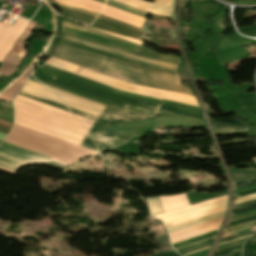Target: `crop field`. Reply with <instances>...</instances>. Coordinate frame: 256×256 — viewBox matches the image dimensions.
<instances>
[{
    "mask_svg": "<svg viewBox=\"0 0 256 256\" xmlns=\"http://www.w3.org/2000/svg\"><path fill=\"white\" fill-rule=\"evenodd\" d=\"M5 24L0 23V31L4 28Z\"/></svg>",
    "mask_w": 256,
    "mask_h": 256,
    "instance_id": "crop-field-38",
    "label": "crop field"
},
{
    "mask_svg": "<svg viewBox=\"0 0 256 256\" xmlns=\"http://www.w3.org/2000/svg\"><path fill=\"white\" fill-rule=\"evenodd\" d=\"M151 118L127 111L106 108L98 118L89 135L101 153L127 142L131 137L115 136V126L119 122ZM82 147L99 152L90 138H85Z\"/></svg>",
    "mask_w": 256,
    "mask_h": 256,
    "instance_id": "crop-field-3",
    "label": "crop field"
},
{
    "mask_svg": "<svg viewBox=\"0 0 256 256\" xmlns=\"http://www.w3.org/2000/svg\"><path fill=\"white\" fill-rule=\"evenodd\" d=\"M225 200H227V195L217 197V198H214V199H211V200L199 203V204H195V205H192V206H189V207L182 208V209H178V210H174V211L167 212V213H164V214H160V215H157L155 217L160 218V217H164V216H167V215H171V214L191 210V209L197 208V207L202 206V205L216 203V202L225 201Z\"/></svg>",
    "mask_w": 256,
    "mask_h": 256,
    "instance_id": "crop-field-17",
    "label": "crop field"
},
{
    "mask_svg": "<svg viewBox=\"0 0 256 256\" xmlns=\"http://www.w3.org/2000/svg\"><path fill=\"white\" fill-rule=\"evenodd\" d=\"M225 208H226V206L221 207V208H217V209H213V210H210V211H207V212H204V213L192 215V216H189V217H186V218L174 221V222L166 223L165 226H166V228L172 227V226H175V225H178V224H181V223H185V222L197 219V218L202 217V216H206V215H210V214H213V213H216V212L224 211Z\"/></svg>",
    "mask_w": 256,
    "mask_h": 256,
    "instance_id": "crop-field-18",
    "label": "crop field"
},
{
    "mask_svg": "<svg viewBox=\"0 0 256 256\" xmlns=\"http://www.w3.org/2000/svg\"><path fill=\"white\" fill-rule=\"evenodd\" d=\"M223 219V218H222ZM222 219H218L215 221H211V222H207V223H203L185 230H181L178 232H174V233H170V238H171V242L176 243L206 232H209L211 230L217 229L219 228Z\"/></svg>",
    "mask_w": 256,
    "mask_h": 256,
    "instance_id": "crop-field-9",
    "label": "crop field"
},
{
    "mask_svg": "<svg viewBox=\"0 0 256 256\" xmlns=\"http://www.w3.org/2000/svg\"><path fill=\"white\" fill-rule=\"evenodd\" d=\"M254 254H255V251H251L243 248V256H253Z\"/></svg>",
    "mask_w": 256,
    "mask_h": 256,
    "instance_id": "crop-field-31",
    "label": "crop field"
},
{
    "mask_svg": "<svg viewBox=\"0 0 256 256\" xmlns=\"http://www.w3.org/2000/svg\"><path fill=\"white\" fill-rule=\"evenodd\" d=\"M217 230H218V229H217ZM217 230H214V231H212V232L206 233V234H204V235H201V236H198V237L189 239V240H185V241H182V242L173 244L172 246H173L174 249H176V248H179V247H181V246L190 244V243H192V242H195V241H198V240H201V239H204V238H208V237L214 236V235L216 234Z\"/></svg>",
    "mask_w": 256,
    "mask_h": 256,
    "instance_id": "crop-field-22",
    "label": "crop field"
},
{
    "mask_svg": "<svg viewBox=\"0 0 256 256\" xmlns=\"http://www.w3.org/2000/svg\"><path fill=\"white\" fill-rule=\"evenodd\" d=\"M252 193H256V189L255 190H251V191L239 192V193H236V194H237V197L239 198L241 196L252 194Z\"/></svg>",
    "mask_w": 256,
    "mask_h": 256,
    "instance_id": "crop-field-30",
    "label": "crop field"
},
{
    "mask_svg": "<svg viewBox=\"0 0 256 256\" xmlns=\"http://www.w3.org/2000/svg\"><path fill=\"white\" fill-rule=\"evenodd\" d=\"M157 256H168L167 255V253L166 252H164V253H162V254H160V255H157ZM173 256H179L178 254H176V255H173Z\"/></svg>",
    "mask_w": 256,
    "mask_h": 256,
    "instance_id": "crop-field-37",
    "label": "crop field"
},
{
    "mask_svg": "<svg viewBox=\"0 0 256 256\" xmlns=\"http://www.w3.org/2000/svg\"><path fill=\"white\" fill-rule=\"evenodd\" d=\"M159 198L166 212L189 206V203L187 202L184 194Z\"/></svg>",
    "mask_w": 256,
    "mask_h": 256,
    "instance_id": "crop-field-13",
    "label": "crop field"
},
{
    "mask_svg": "<svg viewBox=\"0 0 256 256\" xmlns=\"http://www.w3.org/2000/svg\"><path fill=\"white\" fill-rule=\"evenodd\" d=\"M215 237V236H214ZM214 237H211V238H208V239H204V240H201V241H198V242H195V243H192L190 245H187V246H184V247H181L179 249H176L178 252L180 251H184V250H187V249H190V248H194V247H197V246H200V245H203V244H206L208 242H211L214 240Z\"/></svg>",
    "mask_w": 256,
    "mask_h": 256,
    "instance_id": "crop-field-24",
    "label": "crop field"
},
{
    "mask_svg": "<svg viewBox=\"0 0 256 256\" xmlns=\"http://www.w3.org/2000/svg\"><path fill=\"white\" fill-rule=\"evenodd\" d=\"M1 142L2 141H0V143ZM47 159H52V158L28 151L26 149H23V148H20V147H17V146H14V145H11V144H8L5 142H3L0 145V167H3L5 169L11 170V171H13L19 165H22V164H25L28 162L47 160ZM48 161H53V162L61 164L63 166L68 165L63 162L57 161L55 159L47 160V161H40V162H33V163L25 164V165L48 162ZM25 165H22V166H25ZM22 166H19V167H22ZM19 167H17L13 172L5 170L3 168H0V169L14 174Z\"/></svg>",
    "mask_w": 256,
    "mask_h": 256,
    "instance_id": "crop-field-7",
    "label": "crop field"
},
{
    "mask_svg": "<svg viewBox=\"0 0 256 256\" xmlns=\"http://www.w3.org/2000/svg\"><path fill=\"white\" fill-rule=\"evenodd\" d=\"M36 77L37 80L41 82L88 97L107 105L152 115H156L161 103H170L199 109L196 106L124 92L46 64H44L42 69H37Z\"/></svg>",
    "mask_w": 256,
    "mask_h": 256,
    "instance_id": "crop-field-2",
    "label": "crop field"
},
{
    "mask_svg": "<svg viewBox=\"0 0 256 256\" xmlns=\"http://www.w3.org/2000/svg\"><path fill=\"white\" fill-rule=\"evenodd\" d=\"M172 5L173 0H154L149 13L169 17Z\"/></svg>",
    "mask_w": 256,
    "mask_h": 256,
    "instance_id": "crop-field-14",
    "label": "crop field"
},
{
    "mask_svg": "<svg viewBox=\"0 0 256 256\" xmlns=\"http://www.w3.org/2000/svg\"><path fill=\"white\" fill-rule=\"evenodd\" d=\"M240 250H241V246H237V247H233V248L226 249V250L220 251L218 253H215L214 256L229 254V253H233V252L240 251Z\"/></svg>",
    "mask_w": 256,
    "mask_h": 256,
    "instance_id": "crop-field-27",
    "label": "crop field"
},
{
    "mask_svg": "<svg viewBox=\"0 0 256 256\" xmlns=\"http://www.w3.org/2000/svg\"><path fill=\"white\" fill-rule=\"evenodd\" d=\"M224 213L225 212L216 213V214H213V215L201 218V219H197V220L185 223V224H181V225H178V226H175V227H172V228H168L167 230L170 233V232H173V231H177V230H180V229H183V228H186V227H190V226L205 222V221L222 218L224 216Z\"/></svg>",
    "mask_w": 256,
    "mask_h": 256,
    "instance_id": "crop-field-16",
    "label": "crop field"
},
{
    "mask_svg": "<svg viewBox=\"0 0 256 256\" xmlns=\"http://www.w3.org/2000/svg\"><path fill=\"white\" fill-rule=\"evenodd\" d=\"M253 225H256V221L243 223V224H239V225H235V226H230V227L226 228L224 232L236 230V229L247 227V226H253Z\"/></svg>",
    "mask_w": 256,
    "mask_h": 256,
    "instance_id": "crop-field-25",
    "label": "crop field"
},
{
    "mask_svg": "<svg viewBox=\"0 0 256 256\" xmlns=\"http://www.w3.org/2000/svg\"><path fill=\"white\" fill-rule=\"evenodd\" d=\"M105 4L106 0H95ZM107 5L124 10L126 12L145 17L150 4L140 0H108Z\"/></svg>",
    "mask_w": 256,
    "mask_h": 256,
    "instance_id": "crop-field-10",
    "label": "crop field"
},
{
    "mask_svg": "<svg viewBox=\"0 0 256 256\" xmlns=\"http://www.w3.org/2000/svg\"><path fill=\"white\" fill-rule=\"evenodd\" d=\"M254 160L256 161V158Z\"/></svg>",
    "mask_w": 256,
    "mask_h": 256,
    "instance_id": "crop-field-39",
    "label": "crop field"
},
{
    "mask_svg": "<svg viewBox=\"0 0 256 256\" xmlns=\"http://www.w3.org/2000/svg\"><path fill=\"white\" fill-rule=\"evenodd\" d=\"M226 203H227V201L212 204V205H208V206H204V207L197 208V209H194V210H191V211H187V212L175 214V215H172V216L160 218V220H162L163 223L173 221V220H177V219H180V218L192 215V214H196V213L203 212V211H206V210H210V209H213V208H216V207L224 206V205H226Z\"/></svg>",
    "mask_w": 256,
    "mask_h": 256,
    "instance_id": "crop-field-15",
    "label": "crop field"
},
{
    "mask_svg": "<svg viewBox=\"0 0 256 256\" xmlns=\"http://www.w3.org/2000/svg\"><path fill=\"white\" fill-rule=\"evenodd\" d=\"M63 23L65 26H69V27H73V28L85 31L84 27L70 24V23H67L64 21H63ZM65 26H64V33H66V34L78 36L81 38H85V39H89V40H93V41H97V42L106 43V44H109V45H112L115 47L123 48V49L129 50V51H132V52H136V53H139L138 51L146 52L148 54H153V55H158V56L163 57L160 59L179 62L177 57L155 54L153 52H150L148 50H145L143 48H140V47H137V46L125 43V42H121V41H118L115 39L106 38L107 36L102 37L104 35L98 36L101 34L95 33L93 31H90L87 29H86L87 32L95 33L98 35L79 31V30L72 29V28L65 27ZM66 34H64V35L75 38V39H79L82 41L91 42V43L115 48V47H112V46H109L106 44L96 43V42L88 41L85 39H81V38L66 35ZM64 38L70 39L72 41H75V42H78L81 44L91 46L93 48L99 49L101 51H104V52H107V53H110V54H113V55H116V56H119L122 58H125L127 60H130L132 62L141 64V65L166 69V70H170V71H174V72H175V68L177 66V65H174V64H177L175 62L153 59V58H150V57H152L150 55H146V56H150V57L143 56L145 54L139 55L142 53L136 54V53H132V52L120 49V50L129 52V53H132L134 55L148 58L151 60L167 62V63H174V64L150 61V60L140 58V57L131 55L129 53H126V52H123L120 50H115V49H111V48H107V47H103V46H99V45H95V44H91V43H86V42L78 41V40L68 38V37H64ZM64 38L62 39L61 43L59 44V46L57 48V52L54 56H57V57L65 59V60L89 67L91 69L115 76L117 78H120V79H123L126 81L139 83V84H143V85H147V86H152V87H156V88H161V89L193 96L191 91L187 87L179 85L177 76L173 72L137 65V64L131 63L129 61L117 58L115 56H112V55L100 52L98 50L86 47L84 45L74 43V42L66 40ZM119 48H116V49H119ZM136 50H138V51H136ZM154 58H157V57H154Z\"/></svg>",
    "mask_w": 256,
    "mask_h": 256,
    "instance_id": "crop-field-1",
    "label": "crop field"
},
{
    "mask_svg": "<svg viewBox=\"0 0 256 256\" xmlns=\"http://www.w3.org/2000/svg\"><path fill=\"white\" fill-rule=\"evenodd\" d=\"M245 244H256V240H248Z\"/></svg>",
    "mask_w": 256,
    "mask_h": 256,
    "instance_id": "crop-field-35",
    "label": "crop field"
},
{
    "mask_svg": "<svg viewBox=\"0 0 256 256\" xmlns=\"http://www.w3.org/2000/svg\"><path fill=\"white\" fill-rule=\"evenodd\" d=\"M153 216L163 213V208L158 197L146 199Z\"/></svg>",
    "mask_w": 256,
    "mask_h": 256,
    "instance_id": "crop-field-21",
    "label": "crop field"
},
{
    "mask_svg": "<svg viewBox=\"0 0 256 256\" xmlns=\"http://www.w3.org/2000/svg\"><path fill=\"white\" fill-rule=\"evenodd\" d=\"M101 14L107 15L109 17L121 20L123 22L135 25L137 27L142 26L143 18H140L138 16L126 13L124 11L112 8L110 6L105 5L101 11Z\"/></svg>",
    "mask_w": 256,
    "mask_h": 256,
    "instance_id": "crop-field-11",
    "label": "crop field"
},
{
    "mask_svg": "<svg viewBox=\"0 0 256 256\" xmlns=\"http://www.w3.org/2000/svg\"><path fill=\"white\" fill-rule=\"evenodd\" d=\"M27 21L18 17L13 26L6 25L0 33V62L3 61L8 49L25 28Z\"/></svg>",
    "mask_w": 256,
    "mask_h": 256,
    "instance_id": "crop-field-8",
    "label": "crop field"
},
{
    "mask_svg": "<svg viewBox=\"0 0 256 256\" xmlns=\"http://www.w3.org/2000/svg\"><path fill=\"white\" fill-rule=\"evenodd\" d=\"M255 212H256V210H253V211H250V212H246V213H242V214H237V215L230 216V218L236 217V216H240V215H243V214L255 213Z\"/></svg>",
    "mask_w": 256,
    "mask_h": 256,
    "instance_id": "crop-field-33",
    "label": "crop field"
},
{
    "mask_svg": "<svg viewBox=\"0 0 256 256\" xmlns=\"http://www.w3.org/2000/svg\"><path fill=\"white\" fill-rule=\"evenodd\" d=\"M24 82H25V79L20 78L12 87L8 89L9 91H11L8 95L4 93L0 95V100L4 102L11 101L12 97L17 93V91L21 88Z\"/></svg>",
    "mask_w": 256,
    "mask_h": 256,
    "instance_id": "crop-field-19",
    "label": "crop field"
},
{
    "mask_svg": "<svg viewBox=\"0 0 256 256\" xmlns=\"http://www.w3.org/2000/svg\"><path fill=\"white\" fill-rule=\"evenodd\" d=\"M255 228H256V226L251 227V228H247V229H242V230H237V231L225 233L222 238L228 237V236H233V235H238V234H242V233H246V232H249V231H253V230H255Z\"/></svg>",
    "mask_w": 256,
    "mask_h": 256,
    "instance_id": "crop-field-26",
    "label": "crop field"
},
{
    "mask_svg": "<svg viewBox=\"0 0 256 256\" xmlns=\"http://www.w3.org/2000/svg\"><path fill=\"white\" fill-rule=\"evenodd\" d=\"M252 220H256V216L248 217V218H244V219H239V220H235V221H231V222L228 223L227 226L235 225V224H239V223H243V222H248V221H252Z\"/></svg>",
    "mask_w": 256,
    "mask_h": 256,
    "instance_id": "crop-field-28",
    "label": "crop field"
},
{
    "mask_svg": "<svg viewBox=\"0 0 256 256\" xmlns=\"http://www.w3.org/2000/svg\"><path fill=\"white\" fill-rule=\"evenodd\" d=\"M213 124L216 133L228 131H247L248 127L245 126L240 120L226 119H213Z\"/></svg>",
    "mask_w": 256,
    "mask_h": 256,
    "instance_id": "crop-field-12",
    "label": "crop field"
},
{
    "mask_svg": "<svg viewBox=\"0 0 256 256\" xmlns=\"http://www.w3.org/2000/svg\"><path fill=\"white\" fill-rule=\"evenodd\" d=\"M240 254H241V251H240V252H237V253L225 255V256H240Z\"/></svg>",
    "mask_w": 256,
    "mask_h": 256,
    "instance_id": "crop-field-34",
    "label": "crop field"
},
{
    "mask_svg": "<svg viewBox=\"0 0 256 256\" xmlns=\"http://www.w3.org/2000/svg\"><path fill=\"white\" fill-rule=\"evenodd\" d=\"M210 247H211V246H210ZM210 247L202 248V249L196 250V251H194V252H197V251H200V250H204V249H208V248H210ZM194 252H191V253H194ZM191 253H188V254H191ZM188 254H186V255H188ZM183 256H185V255H183Z\"/></svg>",
    "mask_w": 256,
    "mask_h": 256,
    "instance_id": "crop-field-36",
    "label": "crop field"
},
{
    "mask_svg": "<svg viewBox=\"0 0 256 256\" xmlns=\"http://www.w3.org/2000/svg\"><path fill=\"white\" fill-rule=\"evenodd\" d=\"M251 199H256V194L248 195V196H244L242 198L236 199L233 204L243 202V201H247V200H251Z\"/></svg>",
    "mask_w": 256,
    "mask_h": 256,
    "instance_id": "crop-field-29",
    "label": "crop field"
},
{
    "mask_svg": "<svg viewBox=\"0 0 256 256\" xmlns=\"http://www.w3.org/2000/svg\"><path fill=\"white\" fill-rule=\"evenodd\" d=\"M232 184H233L234 190L245 188V187H250V186H255L256 185V178L242 180V181L234 182Z\"/></svg>",
    "mask_w": 256,
    "mask_h": 256,
    "instance_id": "crop-field-23",
    "label": "crop field"
},
{
    "mask_svg": "<svg viewBox=\"0 0 256 256\" xmlns=\"http://www.w3.org/2000/svg\"><path fill=\"white\" fill-rule=\"evenodd\" d=\"M50 89H52V88H50ZM52 90H54L55 93L58 94L61 97V99L65 102V104L69 107L81 110L83 112H86V113H89V114H92V115H95V116H97L100 109L102 108V105H99V104H96V103H93V102L75 97L73 95H70V94L55 90V89H52ZM21 92L63 104L61 102V100L59 99V97L55 93L51 92L49 89H47L45 86H43L41 84L37 85V84L32 83L31 80L27 81V83L25 84V86H24V88L22 89ZM19 95H22V96H25L27 98L45 103L47 105L62 109V110L67 111V112L71 111L72 113H74L76 115L82 116V117L90 119L92 121H94V119H95V116L83 113L81 111H78V110H75V109H72V108H69L70 109V111H69L66 106L61 105V104H57V103H54V102H51V101H47V100H44V99H40V98H37V97H33V96L21 94V93H19Z\"/></svg>",
    "mask_w": 256,
    "mask_h": 256,
    "instance_id": "crop-field-4",
    "label": "crop field"
},
{
    "mask_svg": "<svg viewBox=\"0 0 256 256\" xmlns=\"http://www.w3.org/2000/svg\"><path fill=\"white\" fill-rule=\"evenodd\" d=\"M79 75L118 89L135 92L147 96H152L160 99H168L180 103L198 106L194 98L123 82L85 68H83Z\"/></svg>",
    "mask_w": 256,
    "mask_h": 256,
    "instance_id": "crop-field-6",
    "label": "crop field"
},
{
    "mask_svg": "<svg viewBox=\"0 0 256 256\" xmlns=\"http://www.w3.org/2000/svg\"><path fill=\"white\" fill-rule=\"evenodd\" d=\"M253 209H256V200L233 205L232 214L249 211V210H253Z\"/></svg>",
    "mask_w": 256,
    "mask_h": 256,
    "instance_id": "crop-field-20",
    "label": "crop field"
},
{
    "mask_svg": "<svg viewBox=\"0 0 256 256\" xmlns=\"http://www.w3.org/2000/svg\"><path fill=\"white\" fill-rule=\"evenodd\" d=\"M250 236H251V235H247V236L239 237V238L234 239V240H231V241H227V242L219 243L217 246H219V245H223V244H226V243H230V242H233V241H237V240H240V239L248 238V237H250Z\"/></svg>",
    "mask_w": 256,
    "mask_h": 256,
    "instance_id": "crop-field-32",
    "label": "crop field"
},
{
    "mask_svg": "<svg viewBox=\"0 0 256 256\" xmlns=\"http://www.w3.org/2000/svg\"><path fill=\"white\" fill-rule=\"evenodd\" d=\"M57 5L61 8L62 13L74 18L75 20L83 24L90 25L97 16V13L83 10L71 5L62 4V3H57ZM92 28H96V29H100V30L136 38V39H139L142 33V30L140 28L106 17L101 14H99V16L96 18L95 22L92 25Z\"/></svg>",
    "mask_w": 256,
    "mask_h": 256,
    "instance_id": "crop-field-5",
    "label": "crop field"
}]
</instances>
